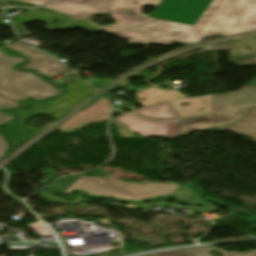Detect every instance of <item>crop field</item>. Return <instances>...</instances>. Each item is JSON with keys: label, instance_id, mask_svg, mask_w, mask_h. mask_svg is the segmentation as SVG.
<instances>
[{"label": "crop field", "instance_id": "8a807250", "mask_svg": "<svg viewBox=\"0 0 256 256\" xmlns=\"http://www.w3.org/2000/svg\"><path fill=\"white\" fill-rule=\"evenodd\" d=\"M256 31V0H213L190 32L199 38Z\"/></svg>", "mask_w": 256, "mask_h": 256}, {"label": "crop field", "instance_id": "ac0d7876", "mask_svg": "<svg viewBox=\"0 0 256 256\" xmlns=\"http://www.w3.org/2000/svg\"><path fill=\"white\" fill-rule=\"evenodd\" d=\"M125 184H127L128 187H126ZM73 189H80L96 196H108L135 201L160 195L175 196L180 200H186L190 194L196 193L201 199H195V201H209L202 198L203 193L192 183L184 186L160 183L140 185L114 179L82 177L66 190L65 193H69Z\"/></svg>", "mask_w": 256, "mask_h": 256}, {"label": "crop field", "instance_id": "34b2d1b8", "mask_svg": "<svg viewBox=\"0 0 256 256\" xmlns=\"http://www.w3.org/2000/svg\"><path fill=\"white\" fill-rule=\"evenodd\" d=\"M191 28V26L157 20L110 34L117 35L130 43L169 46L173 41L188 44L201 40L189 32Z\"/></svg>", "mask_w": 256, "mask_h": 256}, {"label": "crop field", "instance_id": "412701ff", "mask_svg": "<svg viewBox=\"0 0 256 256\" xmlns=\"http://www.w3.org/2000/svg\"><path fill=\"white\" fill-rule=\"evenodd\" d=\"M23 61L22 58H14L0 51L1 87L36 100L52 97L61 92L30 73L17 72L12 69L13 64Z\"/></svg>", "mask_w": 256, "mask_h": 256}, {"label": "crop field", "instance_id": "f4fd0767", "mask_svg": "<svg viewBox=\"0 0 256 256\" xmlns=\"http://www.w3.org/2000/svg\"><path fill=\"white\" fill-rule=\"evenodd\" d=\"M75 101H78V100L66 94L65 96H62L54 100V102L50 106H38L34 104L32 105L33 109L32 110L30 109L31 111L29 112L15 111L13 113L19 115L21 120L17 126L5 127L4 128L5 134L12 136L13 138H15L16 142L21 143L39 131L37 129L30 128L23 125L27 121L28 117H35L37 114L49 115V116H51V114H54V116L52 117L57 120L60 117L67 114V112L72 109L70 107ZM25 114H27V116H25Z\"/></svg>", "mask_w": 256, "mask_h": 256}, {"label": "crop field", "instance_id": "dd49c442", "mask_svg": "<svg viewBox=\"0 0 256 256\" xmlns=\"http://www.w3.org/2000/svg\"><path fill=\"white\" fill-rule=\"evenodd\" d=\"M212 0H162L150 17L194 26Z\"/></svg>", "mask_w": 256, "mask_h": 256}, {"label": "crop field", "instance_id": "e52e79f7", "mask_svg": "<svg viewBox=\"0 0 256 256\" xmlns=\"http://www.w3.org/2000/svg\"><path fill=\"white\" fill-rule=\"evenodd\" d=\"M137 1L139 4H134ZM157 1V2H155ZM161 0H114L112 4L111 16L115 19L117 23L110 26L100 27L93 24L91 21L87 22L99 27L100 29L110 33L117 30L125 29L142 23L150 22L153 18H148V15L140 13L143 5L157 6ZM115 25V27H113ZM105 27H110L106 29Z\"/></svg>", "mask_w": 256, "mask_h": 256}, {"label": "crop field", "instance_id": "d8731c3e", "mask_svg": "<svg viewBox=\"0 0 256 256\" xmlns=\"http://www.w3.org/2000/svg\"><path fill=\"white\" fill-rule=\"evenodd\" d=\"M123 126L141 137L159 136L173 139L179 136L180 120L152 122L129 114L116 118Z\"/></svg>", "mask_w": 256, "mask_h": 256}, {"label": "crop field", "instance_id": "5a996713", "mask_svg": "<svg viewBox=\"0 0 256 256\" xmlns=\"http://www.w3.org/2000/svg\"><path fill=\"white\" fill-rule=\"evenodd\" d=\"M112 0H58L44 6L65 13L75 20H87L97 13L108 14Z\"/></svg>", "mask_w": 256, "mask_h": 256}, {"label": "crop field", "instance_id": "3316defc", "mask_svg": "<svg viewBox=\"0 0 256 256\" xmlns=\"http://www.w3.org/2000/svg\"><path fill=\"white\" fill-rule=\"evenodd\" d=\"M106 105H109L107 108ZM110 104L106 97L101 98L83 112H78L65 123L59 130L62 133H70L81 130L86 126L108 120Z\"/></svg>", "mask_w": 256, "mask_h": 256}, {"label": "crop field", "instance_id": "28ad6ade", "mask_svg": "<svg viewBox=\"0 0 256 256\" xmlns=\"http://www.w3.org/2000/svg\"><path fill=\"white\" fill-rule=\"evenodd\" d=\"M253 108L254 107H247L232 112L181 120L180 135L188 134L196 130L229 125L240 119ZM223 115L225 117H222ZM225 121L228 122L226 123Z\"/></svg>", "mask_w": 256, "mask_h": 256}, {"label": "crop field", "instance_id": "d1516ede", "mask_svg": "<svg viewBox=\"0 0 256 256\" xmlns=\"http://www.w3.org/2000/svg\"><path fill=\"white\" fill-rule=\"evenodd\" d=\"M8 47L24 52L32 59H34V62H31L24 67L39 70L43 75L52 77L67 69L59 62V60L55 59L53 56L39 52L33 48L24 46L20 42L10 44L8 45Z\"/></svg>", "mask_w": 256, "mask_h": 256}, {"label": "crop field", "instance_id": "22f410ed", "mask_svg": "<svg viewBox=\"0 0 256 256\" xmlns=\"http://www.w3.org/2000/svg\"><path fill=\"white\" fill-rule=\"evenodd\" d=\"M256 104V87L244 86L240 91L228 95H212L211 113Z\"/></svg>", "mask_w": 256, "mask_h": 256}, {"label": "crop field", "instance_id": "cbeb9de0", "mask_svg": "<svg viewBox=\"0 0 256 256\" xmlns=\"http://www.w3.org/2000/svg\"><path fill=\"white\" fill-rule=\"evenodd\" d=\"M187 102L190 106L181 107L180 103ZM170 105L180 115L181 118L210 113L211 95L189 99L169 101ZM200 108H204L202 111Z\"/></svg>", "mask_w": 256, "mask_h": 256}, {"label": "crop field", "instance_id": "5142ce71", "mask_svg": "<svg viewBox=\"0 0 256 256\" xmlns=\"http://www.w3.org/2000/svg\"><path fill=\"white\" fill-rule=\"evenodd\" d=\"M136 97L139 101L141 98H145V101L140 102L144 107H146L159 102L178 99V97L184 98L185 95L181 94L178 90L169 92L168 90H160L159 87H154L152 89L139 92L136 94Z\"/></svg>", "mask_w": 256, "mask_h": 256}, {"label": "crop field", "instance_id": "d9b57169", "mask_svg": "<svg viewBox=\"0 0 256 256\" xmlns=\"http://www.w3.org/2000/svg\"><path fill=\"white\" fill-rule=\"evenodd\" d=\"M218 129L249 136L256 140V108L235 124Z\"/></svg>", "mask_w": 256, "mask_h": 256}, {"label": "crop field", "instance_id": "733c2abd", "mask_svg": "<svg viewBox=\"0 0 256 256\" xmlns=\"http://www.w3.org/2000/svg\"><path fill=\"white\" fill-rule=\"evenodd\" d=\"M160 104L161 106H158V104H156L130 113L154 120H169L180 118L168 102H163ZM155 108H158V110H155Z\"/></svg>", "mask_w": 256, "mask_h": 256}, {"label": "crop field", "instance_id": "4a817a6b", "mask_svg": "<svg viewBox=\"0 0 256 256\" xmlns=\"http://www.w3.org/2000/svg\"><path fill=\"white\" fill-rule=\"evenodd\" d=\"M209 250H218L223 254V256H256V251H252L248 253H236V252L226 253L223 250L208 248V247L184 249V250L163 252V253H157V254H151V255H145V256H210L208 253Z\"/></svg>", "mask_w": 256, "mask_h": 256}, {"label": "crop field", "instance_id": "bc2a9ffb", "mask_svg": "<svg viewBox=\"0 0 256 256\" xmlns=\"http://www.w3.org/2000/svg\"><path fill=\"white\" fill-rule=\"evenodd\" d=\"M68 86V92L67 94L71 95L72 97L80 100L81 98L85 97L92 91H95L96 89L88 85L82 80H79L77 82L67 84Z\"/></svg>", "mask_w": 256, "mask_h": 256}, {"label": "crop field", "instance_id": "214f88e0", "mask_svg": "<svg viewBox=\"0 0 256 256\" xmlns=\"http://www.w3.org/2000/svg\"><path fill=\"white\" fill-rule=\"evenodd\" d=\"M18 103L16 101H11L9 99L3 98L0 96V108L5 107H15ZM13 119L12 116L5 115L0 113V124L7 123ZM9 147V145L4 141V139L0 136V157L5 155L6 149Z\"/></svg>", "mask_w": 256, "mask_h": 256}, {"label": "crop field", "instance_id": "92a150f3", "mask_svg": "<svg viewBox=\"0 0 256 256\" xmlns=\"http://www.w3.org/2000/svg\"><path fill=\"white\" fill-rule=\"evenodd\" d=\"M79 178H81V177H69V178L62 177L61 179L56 181L54 184H52L50 186V188H52L58 192H64L73 183H75Z\"/></svg>", "mask_w": 256, "mask_h": 256}, {"label": "crop field", "instance_id": "dafd665d", "mask_svg": "<svg viewBox=\"0 0 256 256\" xmlns=\"http://www.w3.org/2000/svg\"><path fill=\"white\" fill-rule=\"evenodd\" d=\"M0 95L8 97V98L16 100V101L23 100V99L26 98V97H24L20 94L14 93L12 91L6 90V89L1 88V87H0Z\"/></svg>", "mask_w": 256, "mask_h": 256}, {"label": "crop field", "instance_id": "00972430", "mask_svg": "<svg viewBox=\"0 0 256 256\" xmlns=\"http://www.w3.org/2000/svg\"><path fill=\"white\" fill-rule=\"evenodd\" d=\"M112 123H114L116 125V127L120 130L118 131V134L120 135V137H130V136H135V134H133L132 132H130L129 130H127L125 127H123L119 122H117L116 120H112Z\"/></svg>", "mask_w": 256, "mask_h": 256}, {"label": "crop field", "instance_id": "a9b5d70f", "mask_svg": "<svg viewBox=\"0 0 256 256\" xmlns=\"http://www.w3.org/2000/svg\"><path fill=\"white\" fill-rule=\"evenodd\" d=\"M114 80L112 79H102V80H96V81H93V82H89L99 88H103L104 86H106L107 84L113 82Z\"/></svg>", "mask_w": 256, "mask_h": 256}, {"label": "crop field", "instance_id": "4177f3b9", "mask_svg": "<svg viewBox=\"0 0 256 256\" xmlns=\"http://www.w3.org/2000/svg\"><path fill=\"white\" fill-rule=\"evenodd\" d=\"M19 1H25V2H29V3L41 5V4L47 3V2H49L51 0H19Z\"/></svg>", "mask_w": 256, "mask_h": 256}, {"label": "crop field", "instance_id": "730fd06b", "mask_svg": "<svg viewBox=\"0 0 256 256\" xmlns=\"http://www.w3.org/2000/svg\"><path fill=\"white\" fill-rule=\"evenodd\" d=\"M3 19H6V17L3 14H1L0 15V25H7V24H9V23H4Z\"/></svg>", "mask_w": 256, "mask_h": 256}, {"label": "crop field", "instance_id": "eef30255", "mask_svg": "<svg viewBox=\"0 0 256 256\" xmlns=\"http://www.w3.org/2000/svg\"><path fill=\"white\" fill-rule=\"evenodd\" d=\"M15 9H17V8H7V9H3V11H4L5 13H9V12L15 10Z\"/></svg>", "mask_w": 256, "mask_h": 256}, {"label": "crop field", "instance_id": "ae1a2a85", "mask_svg": "<svg viewBox=\"0 0 256 256\" xmlns=\"http://www.w3.org/2000/svg\"><path fill=\"white\" fill-rule=\"evenodd\" d=\"M248 85L256 86V78L253 81H251Z\"/></svg>", "mask_w": 256, "mask_h": 256}, {"label": "crop field", "instance_id": "d3111659", "mask_svg": "<svg viewBox=\"0 0 256 256\" xmlns=\"http://www.w3.org/2000/svg\"><path fill=\"white\" fill-rule=\"evenodd\" d=\"M7 6L6 4H4L3 2H0V7H4Z\"/></svg>", "mask_w": 256, "mask_h": 256}]
</instances>
